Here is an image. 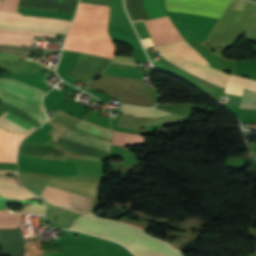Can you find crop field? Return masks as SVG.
Returning a JSON list of instances; mask_svg holds the SVG:
<instances>
[{
	"label": "crop field",
	"instance_id": "obj_1",
	"mask_svg": "<svg viewBox=\"0 0 256 256\" xmlns=\"http://www.w3.org/2000/svg\"><path fill=\"white\" fill-rule=\"evenodd\" d=\"M109 7L80 3L63 49L112 58L115 47L107 32ZM81 54L66 74L83 83L100 75L111 60Z\"/></svg>",
	"mask_w": 256,
	"mask_h": 256
},
{
	"label": "crop field",
	"instance_id": "obj_2",
	"mask_svg": "<svg viewBox=\"0 0 256 256\" xmlns=\"http://www.w3.org/2000/svg\"><path fill=\"white\" fill-rule=\"evenodd\" d=\"M145 225L123 219H101L90 213L78 217L70 229L118 241L136 256H183L171 244L143 232Z\"/></svg>",
	"mask_w": 256,
	"mask_h": 256
},
{
	"label": "crop field",
	"instance_id": "obj_3",
	"mask_svg": "<svg viewBox=\"0 0 256 256\" xmlns=\"http://www.w3.org/2000/svg\"><path fill=\"white\" fill-rule=\"evenodd\" d=\"M103 75L142 79L140 71L116 67H108ZM102 76L86 84L107 93L112 98H120V103L143 105L152 107L156 104L158 96L154 88H144L143 80ZM131 91L133 93H126Z\"/></svg>",
	"mask_w": 256,
	"mask_h": 256
},
{
	"label": "crop field",
	"instance_id": "obj_4",
	"mask_svg": "<svg viewBox=\"0 0 256 256\" xmlns=\"http://www.w3.org/2000/svg\"><path fill=\"white\" fill-rule=\"evenodd\" d=\"M71 21L21 16L0 12V28L65 34ZM0 29V44L32 46L33 35L54 37L55 34Z\"/></svg>",
	"mask_w": 256,
	"mask_h": 256
},
{
	"label": "crop field",
	"instance_id": "obj_5",
	"mask_svg": "<svg viewBox=\"0 0 256 256\" xmlns=\"http://www.w3.org/2000/svg\"><path fill=\"white\" fill-rule=\"evenodd\" d=\"M157 49L168 61L225 88L229 74L211 68L208 62L186 40L158 46Z\"/></svg>",
	"mask_w": 256,
	"mask_h": 256
},
{
	"label": "crop field",
	"instance_id": "obj_6",
	"mask_svg": "<svg viewBox=\"0 0 256 256\" xmlns=\"http://www.w3.org/2000/svg\"><path fill=\"white\" fill-rule=\"evenodd\" d=\"M46 92L25 83L0 78V98L3 102L20 107L41 124L46 120L41 98Z\"/></svg>",
	"mask_w": 256,
	"mask_h": 256
},
{
	"label": "crop field",
	"instance_id": "obj_7",
	"mask_svg": "<svg viewBox=\"0 0 256 256\" xmlns=\"http://www.w3.org/2000/svg\"><path fill=\"white\" fill-rule=\"evenodd\" d=\"M120 113H125L133 116H148V117H158L163 115H169V113L162 110H155L143 107H133L127 105H121V110H112ZM184 120L176 115H169L158 118H147V117H130L120 115V119L117 123V126L130 127V128H141L151 125H156L160 123Z\"/></svg>",
	"mask_w": 256,
	"mask_h": 256
},
{
	"label": "crop field",
	"instance_id": "obj_8",
	"mask_svg": "<svg viewBox=\"0 0 256 256\" xmlns=\"http://www.w3.org/2000/svg\"><path fill=\"white\" fill-rule=\"evenodd\" d=\"M167 11L219 18L230 0H164Z\"/></svg>",
	"mask_w": 256,
	"mask_h": 256
},
{
	"label": "crop field",
	"instance_id": "obj_9",
	"mask_svg": "<svg viewBox=\"0 0 256 256\" xmlns=\"http://www.w3.org/2000/svg\"><path fill=\"white\" fill-rule=\"evenodd\" d=\"M81 121H79L71 130H74V131H77V132H80V133H83V134H86V135H89V136H92V137H95V138H98V139H101V140L111 143V136H112L111 130L106 129L108 131H111V132H108L106 130H103L105 128L100 129L102 127L97 128L99 126L95 127L96 125L92 126L94 124L89 125L91 123L86 124L88 122L84 123L85 121L84 122H81ZM71 130L66 135H64L62 137V139H66L69 141H73L76 143L84 144L87 146H91L94 148H98L101 150L111 152V144L110 143H107V142L74 132Z\"/></svg>",
	"mask_w": 256,
	"mask_h": 256
},
{
	"label": "crop field",
	"instance_id": "obj_10",
	"mask_svg": "<svg viewBox=\"0 0 256 256\" xmlns=\"http://www.w3.org/2000/svg\"><path fill=\"white\" fill-rule=\"evenodd\" d=\"M49 203L84 214L91 210L93 199L46 186L41 195Z\"/></svg>",
	"mask_w": 256,
	"mask_h": 256
},
{
	"label": "crop field",
	"instance_id": "obj_11",
	"mask_svg": "<svg viewBox=\"0 0 256 256\" xmlns=\"http://www.w3.org/2000/svg\"><path fill=\"white\" fill-rule=\"evenodd\" d=\"M157 66L187 80L188 82L194 84L195 86L199 87L200 89L204 90L205 92L209 93L211 96H213L216 100L220 101V97L222 92H224V88L219 87L217 85L211 84L203 79H200L187 71L169 63L163 58H160ZM156 66V67H157ZM158 67V68H159Z\"/></svg>",
	"mask_w": 256,
	"mask_h": 256
},
{
	"label": "crop field",
	"instance_id": "obj_12",
	"mask_svg": "<svg viewBox=\"0 0 256 256\" xmlns=\"http://www.w3.org/2000/svg\"><path fill=\"white\" fill-rule=\"evenodd\" d=\"M143 3L150 19L166 15L162 10L161 0H143ZM125 4L132 21L149 19L142 0H125Z\"/></svg>",
	"mask_w": 256,
	"mask_h": 256
},
{
	"label": "crop field",
	"instance_id": "obj_13",
	"mask_svg": "<svg viewBox=\"0 0 256 256\" xmlns=\"http://www.w3.org/2000/svg\"><path fill=\"white\" fill-rule=\"evenodd\" d=\"M19 153L38 156L42 158L65 160L70 153L55 143L52 139L44 145L41 144H22Z\"/></svg>",
	"mask_w": 256,
	"mask_h": 256
},
{
	"label": "crop field",
	"instance_id": "obj_14",
	"mask_svg": "<svg viewBox=\"0 0 256 256\" xmlns=\"http://www.w3.org/2000/svg\"><path fill=\"white\" fill-rule=\"evenodd\" d=\"M27 135L12 134L0 129V162H15L18 144Z\"/></svg>",
	"mask_w": 256,
	"mask_h": 256
},
{
	"label": "crop field",
	"instance_id": "obj_15",
	"mask_svg": "<svg viewBox=\"0 0 256 256\" xmlns=\"http://www.w3.org/2000/svg\"><path fill=\"white\" fill-rule=\"evenodd\" d=\"M0 244L4 248L3 256L22 255L24 239L21 229L0 230Z\"/></svg>",
	"mask_w": 256,
	"mask_h": 256
},
{
	"label": "crop field",
	"instance_id": "obj_16",
	"mask_svg": "<svg viewBox=\"0 0 256 256\" xmlns=\"http://www.w3.org/2000/svg\"><path fill=\"white\" fill-rule=\"evenodd\" d=\"M78 121L79 119L57 110L46 122L53 126L48 134L51 135L53 137L52 139L56 142Z\"/></svg>",
	"mask_w": 256,
	"mask_h": 256
},
{
	"label": "crop field",
	"instance_id": "obj_17",
	"mask_svg": "<svg viewBox=\"0 0 256 256\" xmlns=\"http://www.w3.org/2000/svg\"><path fill=\"white\" fill-rule=\"evenodd\" d=\"M0 195L22 200L39 199L24 189L21 184L18 185L13 177L0 176Z\"/></svg>",
	"mask_w": 256,
	"mask_h": 256
},
{
	"label": "crop field",
	"instance_id": "obj_18",
	"mask_svg": "<svg viewBox=\"0 0 256 256\" xmlns=\"http://www.w3.org/2000/svg\"><path fill=\"white\" fill-rule=\"evenodd\" d=\"M14 203H40L39 201H20L12 200L0 196V212H10L6 205ZM21 214L20 213H0V229L3 228H20Z\"/></svg>",
	"mask_w": 256,
	"mask_h": 256
},
{
	"label": "crop field",
	"instance_id": "obj_19",
	"mask_svg": "<svg viewBox=\"0 0 256 256\" xmlns=\"http://www.w3.org/2000/svg\"><path fill=\"white\" fill-rule=\"evenodd\" d=\"M0 126L10 132L25 134H29L37 128L8 112L0 117Z\"/></svg>",
	"mask_w": 256,
	"mask_h": 256
},
{
	"label": "crop field",
	"instance_id": "obj_20",
	"mask_svg": "<svg viewBox=\"0 0 256 256\" xmlns=\"http://www.w3.org/2000/svg\"><path fill=\"white\" fill-rule=\"evenodd\" d=\"M243 88L256 91V81L231 74L224 93L241 96Z\"/></svg>",
	"mask_w": 256,
	"mask_h": 256
},
{
	"label": "crop field",
	"instance_id": "obj_21",
	"mask_svg": "<svg viewBox=\"0 0 256 256\" xmlns=\"http://www.w3.org/2000/svg\"><path fill=\"white\" fill-rule=\"evenodd\" d=\"M0 48L4 49L14 55L21 56L24 58H26V56L28 55V53L31 50V48H28V47L9 46V45H0Z\"/></svg>",
	"mask_w": 256,
	"mask_h": 256
},
{
	"label": "crop field",
	"instance_id": "obj_22",
	"mask_svg": "<svg viewBox=\"0 0 256 256\" xmlns=\"http://www.w3.org/2000/svg\"><path fill=\"white\" fill-rule=\"evenodd\" d=\"M240 107L256 108V94L244 93Z\"/></svg>",
	"mask_w": 256,
	"mask_h": 256
},
{
	"label": "crop field",
	"instance_id": "obj_23",
	"mask_svg": "<svg viewBox=\"0 0 256 256\" xmlns=\"http://www.w3.org/2000/svg\"><path fill=\"white\" fill-rule=\"evenodd\" d=\"M45 205L29 204L22 208V214L41 213L44 214Z\"/></svg>",
	"mask_w": 256,
	"mask_h": 256
},
{
	"label": "crop field",
	"instance_id": "obj_24",
	"mask_svg": "<svg viewBox=\"0 0 256 256\" xmlns=\"http://www.w3.org/2000/svg\"><path fill=\"white\" fill-rule=\"evenodd\" d=\"M112 62H120V63L130 64V65H136L134 60L131 57H127V56H115Z\"/></svg>",
	"mask_w": 256,
	"mask_h": 256
},
{
	"label": "crop field",
	"instance_id": "obj_25",
	"mask_svg": "<svg viewBox=\"0 0 256 256\" xmlns=\"http://www.w3.org/2000/svg\"><path fill=\"white\" fill-rule=\"evenodd\" d=\"M16 59H19V58L9 55V54H6L4 52H0V60L1 61H14Z\"/></svg>",
	"mask_w": 256,
	"mask_h": 256
},
{
	"label": "crop field",
	"instance_id": "obj_26",
	"mask_svg": "<svg viewBox=\"0 0 256 256\" xmlns=\"http://www.w3.org/2000/svg\"><path fill=\"white\" fill-rule=\"evenodd\" d=\"M141 41H142V43H143L144 47L154 45V44H153V42H152V40H151V38L143 39V40H141Z\"/></svg>",
	"mask_w": 256,
	"mask_h": 256
},
{
	"label": "crop field",
	"instance_id": "obj_27",
	"mask_svg": "<svg viewBox=\"0 0 256 256\" xmlns=\"http://www.w3.org/2000/svg\"><path fill=\"white\" fill-rule=\"evenodd\" d=\"M0 173H17L16 171H0Z\"/></svg>",
	"mask_w": 256,
	"mask_h": 256
}]
</instances>
